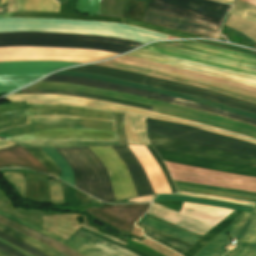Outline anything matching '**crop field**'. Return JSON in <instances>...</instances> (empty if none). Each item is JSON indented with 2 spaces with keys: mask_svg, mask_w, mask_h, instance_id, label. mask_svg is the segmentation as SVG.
<instances>
[{
  "mask_svg": "<svg viewBox=\"0 0 256 256\" xmlns=\"http://www.w3.org/2000/svg\"><path fill=\"white\" fill-rule=\"evenodd\" d=\"M73 115L88 118L115 120L116 132L93 129H45L32 133L8 137L13 142L53 138H96L119 139L120 144L128 143L124 135V114L72 106L0 104V131L11 126L29 123L26 116Z\"/></svg>",
  "mask_w": 256,
  "mask_h": 256,
  "instance_id": "crop-field-1",
  "label": "crop field"
},
{
  "mask_svg": "<svg viewBox=\"0 0 256 256\" xmlns=\"http://www.w3.org/2000/svg\"><path fill=\"white\" fill-rule=\"evenodd\" d=\"M228 8L208 0H149L143 21L216 39Z\"/></svg>",
  "mask_w": 256,
  "mask_h": 256,
  "instance_id": "crop-field-2",
  "label": "crop field"
},
{
  "mask_svg": "<svg viewBox=\"0 0 256 256\" xmlns=\"http://www.w3.org/2000/svg\"><path fill=\"white\" fill-rule=\"evenodd\" d=\"M177 190L204 193L256 202V193L216 188L174 181ZM237 245L224 256H256V206L252 214L243 212L236 220L210 240L196 256H221L227 244Z\"/></svg>",
  "mask_w": 256,
  "mask_h": 256,
  "instance_id": "crop-field-3",
  "label": "crop field"
},
{
  "mask_svg": "<svg viewBox=\"0 0 256 256\" xmlns=\"http://www.w3.org/2000/svg\"><path fill=\"white\" fill-rule=\"evenodd\" d=\"M150 141L162 160L256 177V159L149 134Z\"/></svg>",
  "mask_w": 256,
  "mask_h": 256,
  "instance_id": "crop-field-4",
  "label": "crop field"
},
{
  "mask_svg": "<svg viewBox=\"0 0 256 256\" xmlns=\"http://www.w3.org/2000/svg\"><path fill=\"white\" fill-rule=\"evenodd\" d=\"M73 170L75 187L103 201H115L108 174L88 147L55 148Z\"/></svg>",
  "mask_w": 256,
  "mask_h": 256,
  "instance_id": "crop-field-5",
  "label": "crop field"
},
{
  "mask_svg": "<svg viewBox=\"0 0 256 256\" xmlns=\"http://www.w3.org/2000/svg\"><path fill=\"white\" fill-rule=\"evenodd\" d=\"M148 132L256 158V144L171 122L147 120Z\"/></svg>",
  "mask_w": 256,
  "mask_h": 256,
  "instance_id": "crop-field-6",
  "label": "crop field"
},
{
  "mask_svg": "<svg viewBox=\"0 0 256 256\" xmlns=\"http://www.w3.org/2000/svg\"><path fill=\"white\" fill-rule=\"evenodd\" d=\"M69 70L96 73L100 75L110 76L114 78H119V79L131 81V82L139 83V84L156 86V87H160V88H164L172 91L199 96V97H202L220 104H224L233 108L256 113V105H253V104L242 102L213 91L192 87V86H187V85H182L178 83H173L169 81L159 80V79L151 78L149 76L136 74L128 71H123V70H118V69L108 68V67L94 66V65H87V66H82V67L73 68Z\"/></svg>",
  "mask_w": 256,
  "mask_h": 256,
  "instance_id": "crop-field-7",
  "label": "crop field"
},
{
  "mask_svg": "<svg viewBox=\"0 0 256 256\" xmlns=\"http://www.w3.org/2000/svg\"><path fill=\"white\" fill-rule=\"evenodd\" d=\"M41 81L76 83V84H82V85L92 86V87H96V88H102V89H108V90H113V91H119V92H124V93L140 95V96H144V97H148V98H152V99L188 107L191 109L211 113L214 115H218V116H221L224 118L236 120V121L243 122V123H246V124L256 127V120H253V119H250L247 117H243V116H240L237 114L225 112V111H222V110H219V109H216L213 107H209L206 105H202V104H198V103H194V102H190V101H186V100L176 99V98L156 94V93L149 92V91H143V90H138V89H134V88H129V87H125V86H121V85H117V84L105 83V82L89 80V79H84V78H78V77L57 76V75H51Z\"/></svg>",
  "mask_w": 256,
  "mask_h": 256,
  "instance_id": "crop-field-8",
  "label": "crop field"
},
{
  "mask_svg": "<svg viewBox=\"0 0 256 256\" xmlns=\"http://www.w3.org/2000/svg\"><path fill=\"white\" fill-rule=\"evenodd\" d=\"M79 64L57 61H26L0 63V94L9 93L43 75L66 66Z\"/></svg>",
  "mask_w": 256,
  "mask_h": 256,
  "instance_id": "crop-field-9",
  "label": "crop field"
},
{
  "mask_svg": "<svg viewBox=\"0 0 256 256\" xmlns=\"http://www.w3.org/2000/svg\"><path fill=\"white\" fill-rule=\"evenodd\" d=\"M0 215L5 216L18 223H21L25 226H28L46 236L56 239L84 256H139L133 252H130L120 246L105 241L81 229H79L70 239L65 241L42 228L33 226L27 222L11 217L1 211Z\"/></svg>",
  "mask_w": 256,
  "mask_h": 256,
  "instance_id": "crop-field-10",
  "label": "crop field"
},
{
  "mask_svg": "<svg viewBox=\"0 0 256 256\" xmlns=\"http://www.w3.org/2000/svg\"><path fill=\"white\" fill-rule=\"evenodd\" d=\"M104 164L113 187L116 200L136 196L130 174L119 156L110 146L89 147Z\"/></svg>",
  "mask_w": 256,
  "mask_h": 256,
  "instance_id": "crop-field-11",
  "label": "crop field"
},
{
  "mask_svg": "<svg viewBox=\"0 0 256 256\" xmlns=\"http://www.w3.org/2000/svg\"><path fill=\"white\" fill-rule=\"evenodd\" d=\"M3 46H50L65 48H85L111 51L118 54L124 53L134 48L108 42L29 37L0 38V47Z\"/></svg>",
  "mask_w": 256,
  "mask_h": 256,
  "instance_id": "crop-field-12",
  "label": "crop field"
},
{
  "mask_svg": "<svg viewBox=\"0 0 256 256\" xmlns=\"http://www.w3.org/2000/svg\"><path fill=\"white\" fill-rule=\"evenodd\" d=\"M148 207L149 203L134 205L102 204L101 208H89L86 212L101 221L129 232L132 224L143 215Z\"/></svg>",
  "mask_w": 256,
  "mask_h": 256,
  "instance_id": "crop-field-13",
  "label": "crop field"
},
{
  "mask_svg": "<svg viewBox=\"0 0 256 256\" xmlns=\"http://www.w3.org/2000/svg\"><path fill=\"white\" fill-rule=\"evenodd\" d=\"M54 74L88 77V78H92V79H96V80H100V81L117 83V84H122V85L130 86V87H135V88H139V89H143V90H149V91L157 92V93H160V94H164V95H168V96H172V97H176V98H181V99H186V100L199 102V103L206 104V105H209V106H213V107L225 110V111L237 113V114H240V115H244V116L256 119V114L236 110V109H233V108H230V107H227V106H224V105H220V104H217V103H214V102L202 99V98H198V97H194V96H190V95H186V94H181V93H177V92H172V91H168V90H164V89H160V88H156V87L139 85V84H135V83L119 80V79L109 78V77H105V76L95 75V74L76 73V72H68V71H60V72H56Z\"/></svg>",
  "mask_w": 256,
  "mask_h": 256,
  "instance_id": "crop-field-14",
  "label": "crop field"
},
{
  "mask_svg": "<svg viewBox=\"0 0 256 256\" xmlns=\"http://www.w3.org/2000/svg\"><path fill=\"white\" fill-rule=\"evenodd\" d=\"M0 17H43V18H67V19H84V20H99V21H112V22H119V23H126L132 24L148 29H152L161 33H165L168 35L181 37V38H200L194 37L190 35H186L184 33L174 32L168 29L156 27L153 25L140 23L131 20L120 19L116 17H105V16H81V15H69V14H62V13H46V12H21V13H0Z\"/></svg>",
  "mask_w": 256,
  "mask_h": 256,
  "instance_id": "crop-field-15",
  "label": "crop field"
},
{
  "mask_svg": "<svg viewBox=\"0 0 256 256\" xmlns=\"http://www.w3.org/2000/svg\"><path fill=\"white\" fill-rule=\"evenodd\" d=\"M113 148L127 166L134 182L137 196L154 193L142 166L129 148L127 146H113Z\"/></svg>",
  "mask_w": 256,
  "mask_h": 256,
  "instance_id": "crop-field-16",
  "label": "crop field"
},
{
  "mask_svg": "<svg viewBox=\"0 0 256 256\" xmlns=\"http://www.w3.org/2000/svg\"><path fill=\"white\" fill-rule=\"evenodd\" d=\"M10 164L49 173L45 166L19 145L0 150V167L9 166Z\"/></svg>",
  "mask_w": 256,
  "mask_h": 256,
  "instance_id": "crop-field-17",
  "label": "crop field"
},
{
  "mask_svg": "<svg viewBox=\"0 0 256 256\" xmlns=\"http://www.w3.org/2000/svg\"><path fill=\"white\" fill-rule=\"evenodd\" d=\"M12 36H39V37H50V38L99 40V41L116 42V43H120V44L134 46V47H138V46L142 45L141 43L127 41V40H121V39H115V38H109V37H101V36L80 35V34L45 33V32L0 33V37H12Z\"/></svg>",
  "mask_w": 256,
  "mask_h": 256,
  "instance_id": "crop-field-18",
  "label": "crop field"
},
{
  "mask_svg": "<svg viewBox=\"0 0 256 256\" xmlns=\"http://www.w3.org/2000/svg\"><path fill=\"white\" fill-rule=\"evenodd\" d=\"M136 225H138L144 229V235L152 238L153 240L165 245L166 247H168L180 254L192 245L190 243H187L185 241H182L180 239H177L175 237H172L170 235L162 233L158 230L150 228L146 225H143L139 222H137Z\"/></svg>",
  "mask_w": 256,
  "mask_h": 256,
  "instance_id": "crop-field-19",
  "label": "crop field"
},
{
  "mask_svg": "<svg viewBox=\"0 0 256 256\" xmlns=\"http://www.w3.org/2000/svg\"><path fill=\"white\" fill-rule=\"evenodd\" d=\"M127 55L137 57V58H141V59H145V60H149V61H153V62H157V63H161V64H165V65H169V66H173V67H177V68H182V69H186V70L195 71V72H198V73L208 74V75H212V76L219 77V78L229 79V80L237 82V83L246 84V85L256 87V83L248 81V80H244V79H240V78H236V77H232V76H228V75H224V74H220V73H216V72L197 69V68H193V67L173 63V62L166 61V60L159 59V58L152 57V56L137 54V53H133V52H131Z\"/></svg>",
  "mask_w": 256,
  "mask_h": 256,
  "instance_id": "crop-field-20",
  "label": "crop field"
},
{
  "mask_svg": "<svg viewBox=\"0 0 256 256\" xmlns=\"http://www.w3.org/2000/svg\"><path fill=\"white\" fill-rule=\"evenodd\" d=\"M242 212L234 210L227 217H225L221 222L211 228L207 233H205L199 240L192 245L187 251H185L183 256H194L195 253L204 245V243L211 238H213L217 233L224 229L228 224H230L234 219H236Z\"/></svg>",
  "mask_w": 256,
  "mask_h": 256,
  "instance_id": "crop-field-21",
  "label": "crop field"
},
{
  "mask_svg": "<svg viewBox=\"0 0 256 256\" xmlns=\"http://www.w3.org/2000/svg\"><path fill=\"white\" fill-rule=\"evenodd\" d=\"M26 94H64V95H74V96H80V97H86V98H92L102 101H107L111 103H117V104H123L128 105L132 107H137L141 109L151 110L153 107L147 106L144 104L139 103H133V102H127L119 99H113V98H107V97H101V96H95V95H89V94H83V93H76V92H68V91H57V90H33L29 89Z\"/></svg>",
  "mask_w": 256,
  "mask_h": 256,
  "instance_id": "crop-field-22",
  "label": "crop field"
},
{
  "mask_svg": "<svg viewBox=\"0 0 256 256\" xmlns=\"http://www.w3.org/2000/svg\"><path fill=\"white\" fill-rule=\"evenodd\" d=\"M0 218L3 219V220H5V221H8V222H10V223L15 224V225H17L18 227H20V228H22V229H24V230H27V231H29V232H31V233H33V234L39 236L40 238H38V237H36V236H34V235H32V234H30V233L24 231V230L18 229V228H16V227H14V226H12V225H10V224H8V223L2 221V220H0L1 223H4V224L10 226L11 228H13V229H15V230H17V231H19V232H21V233L27 235V236H30V237H33V238L39 240V241H41L42 243H44V244H46V245H48V246H50V247H52V248H54V249H56V250L62 252L63 254H65V255H67V256H82V255H80V254L74 252V251L71 250L70 248L66 247L65 245H63V244H61V243H59V242H57V241H55V240H53V239H51V238H48V237L43 236V235H41V234L35 233V232H33V231H31V230H29V229H27V228H25V227H23V226H21V225L15 223V222H12V221H10V220L4 218V217H1V216H0Z\"/></svg>",
  "mask_w": 256,
  "mask_h": 256,
  "instance_id": "crop-field-23",
  "label": "crop field"
},
{
  "mask_svg": "<svg viewBox=\"0 0 256 256\" xmlns=\"http://www.w3.org/2000/svg\"><path fill=\"white\" fill-rule=\"evenodd\" d=\"M228 16H229V13H228V15L226 16V18H225V20L223 21V25H225L224 23H225V21H226V19L228 18ZM226 24H228V25H230V26H232V27H234V28H236V29H239V30H241V32H243L244 34H246L247 36H249L251 39H253L254 41H256V24L255 23H253V22H250V21H247V20H245V19H242V18H240V17H237V16H234V15H232V14H230V16H229V18L227 19V21H226ZM225 26H227V25H225ZM227 27H229V26H227ZM229 28H231V27H229ZM231 29H233V28H231ZM233 30H235V29H233ZM235 31H237V32H239V33H241L240 31H238V30H235ZM243 33H241L242 35H244ZM246 35H244L245 37H247ZM248 38V37H247ZM249 38V39H250ZM250 39V40H251ZM252 40V41H253ZM253 41V42H254ZM256 43V42H255Z\"/></svg>",
  "mask_w": 256,
  "mask_h": 256,
  "instance_id": "crop-field-24",
  "label": "crop field"
},
{
  "mask_svg": "<svg viewBox=\"0 0 256 256\" xmlns=\"http://www.w3.org/2000/svg\"><path fill=\"white\" fill-rule=\"evenodd\" d=\"M139 222H141V223H143V224H146V225H148V226H151V227H153V228H155V229H158V230H160V231H162V232H165V233H167V234H170V235H172V236H175V237H177V238H180V239H182V240H185V241H187V242H190V243H192V244H193L194 242H196L197 239H198V237H195V236H192V235H190V234L184 233V232H182V231H179V230H177V229H175V228H172V227H170V226H167V225H165V224H162V223H160V222H157V221L152 220V219H150V218H147V217H145V216H143V217L139 220Z\"/></svg>",
  "mask_w": 256,
  "mask_h": 256,
  "instance_id": "crop-field-25",
  "label": "crop field"
},
{
  "mask_svg": "<svg viewBox=\"0 0 256 256\" xmlns=\"http://www.w3.org/2000/svg\"><path fill=\"white\" fill-rule=\"evenodd\" d=\"M154 200H185V201H193V202H199V203H206V204H212V205H218V206H224L229 208H235V209H241L252 212V207L227 203V202H221V201H213V200H206V199H199V198H191V197H185V196H179V195H158Z\"/></svg>",
  "mask_w": 256,
  "mask_h": 256,
  "instance_id": "crop-field-26",
  "label": "crop field"
},
{
  "mask_svg": "<svg viewBox=\"0 0 256 256\" xmlns=\"http://www.w3.org/2000/svg\"><path fill=\"white\" fill-rule=\"evenodd\" d=\"M0 230L19 239V240H22V241L36 247L37 249H39L40 251L44 252L45 254H47L49 256H65V255L45 246L44 244L32 239V238H29L25 235H22L16 231L10 229L9 227H7L1 223H0Z\"/></svg>",
  "mask_w": 256,
  "mask_h": 256,
  "instance_id": "crop-field-27",
  "label": "crop field"
},
{
  "mask_svg": "<svg viewBox=\"0 0 256 256\" xmlns=\"http://www.w3.org/2000/svg\"><path fill=\"white\" fill-rule=\"evenodd\" d=\"M46 155L50 157L62 171L60 179L74 185L73 174L67 162L58 154L54 148H42Z\"/></svg>",
  "mask_w": 256,
  "mask_h": 256,
  "instance_id": "crop-field-28",
  "label": "crop field"
},
{
  "mask_svg": "<svg viewBox=\"0 0 256 256\" xmlns=\"http://www.w3.org/2000/svg\"><path fill=\"white\" fill-rule=\"evenodd\" d=\"M1 174L16 189L19 194L24 198L25 194V179L23 178L21 169H4Z\"/></svg>",
  "mask_w": 256,
  "mask_h": 256,
  "instance_id": "crop-field-29",
  "label": "crop field"
},
{
  "mask_svg": "<svg viewBox=\"0 0 256 256\" xmlns=\"http://www.w3.org/2000/svg\"><path fill=\"white\" fill-rule=\"evenodd\" d=\"M230 13L256 23V7L250 6L238 0H236V2L234 3L233 7L230 10Z\"/></svg>",
  "mask_w": 256,
  "mask_h": 256,
  "instance_id": "crop-field-30",
  "label": "crop field"
},
{
  "mask_svg": "<svg viewBox=\"0 0 256 256\" xmlns=\"http://www.w3.org/2000/svg\"><path fill=\"white\" fill-rule=\"evenodd\" d=\"M27 151L31 152L34 157L39 160L42 164H44L49 170L50 175L55 177L60 176V170L58 166H56L51 159H49L41 148H25Z\"/></svg>",
  "mask_w": 256,
  "mask_h": 256,
  "instance_id": "crop-field-31",
  "label": "crop field"
},
{
  "mask_svg": "<svg viewBox=\"0 0 256 256\" xmlns=\"http://www.w3.org/2000/svg\"><path fill=\"white\" fill-rule=\"evenodd\" d=\"M100 0H77L76 9L79 12L98 14Z\"/></svg>",
  "mask_w": 256,
  "mask_h": 256,
  "instance_id": "crop-field-32",
  "label": "crop field"
},
{
  "mask_svg": "<svg viewBox=\"0 0 256 256\" xmlns=\"http://www.w3.org/2000/svg\"><path fill=\"white\" fill-rule=\"evenodd\" d=\"M0 238H2L4 240H6V241H8V242L18 246V247H20L22 249H24L25 251L31 253L34 256H47L44 253L40 252L39 250H37V249H35V248H33V247H31V246H29V245L19 241L17 239H14V238H12V237H10V236L2 233V232H0Z\"/></svg>",
  "mask_w": 256,
  "mask_h": 256,
  "instance_id": "crop-field-33",
  "label": "crop field"
},
{
  "mask_svg": "<svg viewBox=\"0 0 256 256\" xmlns=\"http://www.w3.org/2000/svg\"><path fill=\"white\" fill-rule=\"evenodd\" d=\"M179 195H185V196H191V197H199V198H206V199H214V200H221V201H227L247 206H255V203L253 202H246V201H240V200H234V199H228V198H222V197H216V196H210V195H204V194H194V193H186V192H180L178 191Z\"/></svg>",
  "mask_w": 256,
  "mask_h": 256,
  "instance_id": "crop-field-34",
  "label": "crop field"
},
{
  "mask_svg": "<svg viewBox=\"0 0 256 256\" xmlns=\"http://www.w3.org/2000/svg\"><path fill=\"white\" fill-rule=\"evenodd\" d=\"M50 196L52 203H64L60 182L50 180Z\"/></svg>",
  "mask_w": 256,
  "mask_h": 256,
  "instance_id": "crop-field-35",
  "label": "crop field"
},
{
  "mask_svg": "<svg viewBox=\"0 0 256 256\" xmlns=\"http://www.w3.org/2000/svg\"><path fill=\"white\" fill-rule=\"evenodd\" d=\"M0 249L5 251L6 253L10 254L11 256H24L21 253L17 252L16 250L8 247L7 245L0 242Z\"/></svg>",
  "mask_w": 256,
  "mask_h": 256,
  "instance_id": "crop-field-36",
  "label": "crop field"
},
{
  "mask_svg": "<svg viewBox=\"0 0 256 256\" xmlns=\"http://www.w3.org/2000/svg\"><path fill=\"white\" fill-rule=\"evenodd\" d=\"M0 241L3 242V243H5V244H7L8 246H10V247L16 249L17 251L21 252L22 254H24V255H26V256H32L31 254L25 252L24 250H22V249H20V248H18V247H16V246H14V245H12V244H10V243L4 241V240H2V239H0Z\"/></svg>",
  "mask_w": 256,
  "mask_h": 256,
  "instance_id": "crop-field-37",
  "label": "crop field"
},
{
  "mask_svg": "<svg viewBox=\"0 0 256 256\" xmlns=\"http://www.w3.org/2000/svg\"><path fill=\"white\" fill-rule=\"evenodd\" d=\"M11 145H14V143H11V142L0 139V148L11 146Z\"/></svg>",
  "mask_w": 256,
  "mask_h": 256,
  "instance_id": "crop-field-38",
  "label": "crop field"
},
{
  "mask_svg": "<svg viewBox=\"0 0 256 256\" xmlns=\"http://www.w3.org/2000/svg\"><path fill=\"white\" fill-rule=\"evenodd\" d=\"M242 1L256 6V0H242Z\"/></svg>",
  "mask_w": 256,
  "mask_h": 256,
  "instance_id": "crop-field-39",
  "label": "crop field"
},
{
  "mask_svg": "<svg viewBox=\"0 0 256 256\" xmlns=\"http://www.w3.org/2000/svg\"><path fill=\"white\" fill-rule=\"evenodd\" d=\"M217 1L225 2V3H229V4H232V2H233V0H217Z\"/></svg>",
  "mask_w": 256,
  "mask_h": 256,
  "instance_id": "crop-field-40",
  "label": "crop field"
},
{
  "mask_svg": "<svg viewBox=\"0 0 256 256\" xmlns=\"http://www.w3.org/2000/svg\"><path fill=\"white\" fill-rule=\"evenodd\" d=\"M0 253L3 254L4 256H10V255H8V254L2 252V251H0Z\"/></svg>",
  "mask_w": 256,
  "mask_h": 256,
  "instance_id": "crop-field-41",
  "label": "crop field"
},
{
  "mask_svg": "<svg viewBox=\"0 0 256 256\" xmlns=\"http://www.w3.org/2000/svg\"><path fill=\"white\" fill-rule=\"evenodd\" d=\"M4 1H5V0H1V1H0V5H1Z\"/></svg>",
  "mask_w": 256,
  "mask_h": 256,
  "instance_id": "crop-field-42",
  "label": "crop field"
},
{
  "mask_svg": "<svg viewBox=\"0 0 256 256\" xmlns=\"http://www.w3.org/2000/svg\"><path fill=\"white\" fill-rule=\"evenodd\" d=\"M0 256H3V255L0 254Z\"/></svg>",
  "mask_w": 256,
  "mask_h": 256,
  "instance_id": "crop-field-43",
  "label": "crop field"
}]
</instances>
